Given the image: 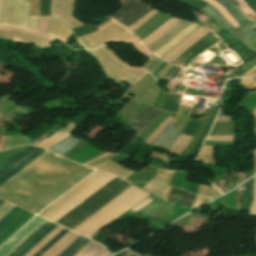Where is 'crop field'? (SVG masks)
<instances>
[{
	"label": "crop field",
	"mask_w": 256,
	"mask_h": 256,
	"mask_svg": "<svg viewBox=\"0 0 256 256\" xmlns=\"http://www.w3.org/2000/svg\"><path fill=\"white\" fill-rule=\"evenodd\" d=\"M48 151L3 186L0 197L38 213L94 169Z\"/></svg>",
	"instance_id": "crop-field-1"
},
{
	"label": "crop field",
	"mask_w": 256,
	"mask_h": 256,
	"mask_svg": "<svg viewBox=\"0 0 256 256\" xmlns=\"http://www.w3.org/2000/svg\"><path fill=\"white\" fill-rule=\"evenodd\" d=\"M129 186L128 181L116 176L56 223L73 230Z\"/></svg>",
	"instance_id": "crop-field-2"
},
{
	"label": "crop field",
	"mask_w": 256,
	"mask_h": 256,
	"mask_svg": "<svg viewBox=\"0 0 256 256\" xmlns=\"http://www.w3.org/2000/svg\"><path fill=\"white\" fill-rule=\"evenodd\" d=\"M147 195V193L132 185L118 197L104 206L101 210L91 216L88 220L74 229V231L87 237H91L100 228L131 208Z\"/></svg>",
	"instance_id": "crop-field-3"
},
{
	"label": "crop field",
	"mask_w": 256,
	"mask_h": 256,
	"mask_svg": "<svg viewBox=\"0 0 256 256\" xmlns=\"http://www.w3.org/2000/svg\"><path fill=\"white\" fill-rule=\"evenodd\" d=\"M96 172H94L93 174H95ZM92 175H90L89 177H91ZM113 177H115V175H112L104 171H99L90 179L86 178L85 180L87 179L88 180L86 182H84L85 180L82 181L81 183L84 182L82 185H80L81 183L78 184L77 186L80 185L78 188H76L77 186L74 187L73 189L76 188L74 191H72L73 189L70 190L69 192L72 191L70 194H68L69 192H67L65 194V195L68 194L66 197H64L65 195H63L61 197V198L64 197L62 200H60L61 198H59L57 200V201L60 200L58 203H56L57 201H55L53 203V204L56 203L54 206H52L53 204H51L49 206V207L52 206L50 209H48L49 207H47L45 209V210L48 209L46 212H44L45 210H43L41 213L43 212L44 213L41 216H44L55 222L64 214H66L68 211H70L72 208H74L76 205H78L80 202H82L85 198H87L89 195H91L93 192H95L97 189H99L101 186H103L105 183L111 180ZM41 213H39V215Z\"/></svg>",
	"instance_id": "crop-field-4"
},
{
	"label": "crop field",
	"mask_w": 256,
	"mask_h": 256,
	"mask_svg": "<svg viewBox=\"0 0 256 256\" xmlns=\"http://www.w3.org/2000/svg\"><path fill=\"white\" fill-rule=\"evenodd\" d=\"M47 150L26 146L0 166V186L43 155Z\"/></svg>",
	"instance_id": "crop-field-5"
},
{
	"label": "crop field",
	"mask_w": 256,
	"mask_h": 256,
	"mask_svg": "<svg viewBox=\"0 0 256 256\" xmlns=\"http://www.w3.org/2000/svg\"><path fill=\"white\" fill-rule=\"evenodd\" d=\"M208 9H206V8ZM204 8L200 9L203 13L207 14L208 16H210L212 19H214L215 21H217L220 25H222L224 28L228 29L229 31H231L234 35H236L241 41L245 42L249 39H251L252 41H254L256 43V32L254 31L256 29V21H252V22H247V24L249 26H251L252 28H250L246 23L243 24L242 26L239 27V29L236 31L221 15L220 13L214 9L212 6H210L209 4L206 5ZM215 13L217 16L212 15L211 13ZM206 15V16H207ZM236 37V38H237ZM237 38V39H238ZM238 39V40H239ZM251 40L243 43L245 45H247L248 47H250L253 51L256 52V44L255 46L253 45L254 42H252Z\"/></svg>",
	"instance_id": "crop-field-6"
},
{
	"label": "crop field",
	"mask_w": 256,
	"mask_h": 256,
	"mask_svg": "<svg viewBox=\"0 0 256 256\" xmlns=\"http://www.w3.org/2000/svg\"><path fill=\"white\" fill-rule=\"evenodd\" d=\"M0 37L18 42L35 43L39 47H50L52 38L27 29L0 26Z\"/></svg>",
	"instance_id": "crop-field-7"
},
{
	"label": "crop field",
	"mask_w": 256,
	"mask_h": 256,
	"mask_svg": "<svg viewBox=\"0 0 256 256\" xmlns=\"http://www.w3.org/2000/svg\"><path fill=\"white\" fill-rule=\"evenodd\" d=\"M150 7L138 0H131L112 17L129 27L150 11Z\"/></svg>",
	"instance_id": "crop-field-8"
},
{
	"label": "crop field",
	"mask_w": 256,
	"mask_h": 256,
	"mask_svg": "<svg viewBox=\"0 0 256 256\" xmlns=\"http://www.w3.org/2000/svg\"><path fill=\"white\" fill-rule=\"evenodd\" d=\"M46 220L36 216L24 228H22L14 237L0 248V256H7L35 230H37Z\"/></svg>",
	"instance_id": "crop-field-9"
},
{
	"label": "crop field",
	"mask_w": 256,
	"mask_h": 256,
	"mask_svg": "<svg viewBox=\"0 0 256 256\" xmlns=\"http://www.w3.org/2000/svg\"><path fill=\"white\" fill-rule=\"evenodd\" d=\"M161 113V110L149 106L143 109L129 125L136 137L138 138Z\"/></svg>",
	"instance_id": "crop-field-10"
},
{
	"label": "crop field",
	"mask_w": 256,
	"mask_h": 256,
	"mask_svg": "<svg viewBox=\"0 0 256 256\" xmlns=\"http://www.w3.org/2000/svg\"><path fill=\"white\" fill-rule=\"evenodd\" d=\"M208 32L209 31L202 27L199 28L197 31L184 39L176 48H174L172 51L162 57V59L172 63L179 55H181L186 49H188L191 45H193L197 40H199Z\"/></svg>",
	"instance_id": "crop-field-11"
},
{
	"label": "crop field",
	"mask_w": 256,
	"mask_h": 256,
	"mask_svg": "<svg viewBox=\"0 0 256 256\" xmlns=\"http://www.w3.org/2000/svg\"><path fill=\"white\" fill-rule=\"evenodd\" d=\"M209 4L213 5L221 14L222 16L235 28L239 26L236 20L229 14V12L218 2L215 0H205ZM243 12L245 15L251 13L253 16L256 15L250 7L246 4L244 0H232Z\"/></svg>",
	"instance_id": "crop-field-12"
},
{
	"label": "crop field",
	"mask_w": 256,
	"mask_h": 256,
	"mask_svg": "<svg viewBox=\"0 0 256 256\" xmlns=\"http://www.w3.org/2000/svg\"><path fill=\"white\" fill-rule=\"evenodd\" d=\"M180 134L181 133L170 124L151 145L168 150Z\"/></svg>",
	"instance_id": "crop-field-13"
},
{
	"label": "crop field",
	"mask_w": 256,
	"mask_h": 256,
	"mask_svg": "<svg viewBox=\"0 0 256 256\" xmlns=\"http://www.w3.org/2000/svg\"><path fill=\"white\" fill-rule=\"evenodd\" d=\"M189 24L190 23L184 22L181 20L174 27H172L170 30H168L165 34H163L161 37H159L153 44H151L150 46H148L146 48L153 53L154 51H156L158 48H160L169 39H171L174 35H176L178 32H180L182 29H184Z\"/></svg>",
	"instance_id": "crop-field-14"
},
{
	"label": "crop field",
	"mask_w": 256,
	"mask_h": 256,
	"mask_svg": "<svg viewBox=\"0 0 256 256\" xmlns=\"http://www.w3.org/2000/svg\"><path fill=\"white\" fill-rule=\"evenodd\" d=\"M178 21V19L170 18L164 24H162L157 30H155L152 34L147 36L142 40L143 45L146 47L149 44L153 43L159 36L165 33L168 29L174 26Z\"/></svg>",
	"instance_id": "crop-field-15"
},
{
	"label": "crop field",
	"mask_w": 256,
	"mask_h": 256,
	"mask_svg": "<svg viewBox=\"0 0 256 256\" xmlns=\"http://www.w3.org/2000/svg\"><path fill=\"white\" fill-rule=\"evenodd\" d=\"M76 233L69 232L66 234L62 239H60L55 245H53L47 252H45L42 256H51L53 255L58 249H60L66 242H68ZM80 235H76L73 237L67 244H65L60 250H58L53 256H57L60 252H62L68 245H70L76 238Z\"/></svg>",
	"instance_id": "crop-field-16"
},
{
	"label": "crop field",
	"mask_w": 256,
	"mask_h": 256,
	"mask_svg": "<svg viewBox=\"0 0 256 256\" xmlns=\"http://www.w3.org/2000/svg\"><path fill=\"white\" fill-rule=\"evenodd\" d=\"M108 255H110V252H108L105 249V247L92 241L88 246H86L76 256H108Z\"/></svg>",
	"instance_id": "crop-field-17"
},
{
	"label": "crop field",
	"mask_w": 256,
	"mask_h": 256,
	"mask_svg": "<svg viewBox=\"0 0 256 256\" xmlns=\"http://www.w3.org/2000/svg\"><path fill=\"white\" fill-rule=\"evenodd\" d=\"M221 3L241 25L248 21L247 17L231 0H216Z\"/></svg>",
	"instance_id": "crop-field-18"
},
{
	"label": "crop field",
	"mask_w": 256,
	"mask_h": 256,
	"mask_svg": "<svg viewBox=\"0 0 256 256\" xmlns=\"http://www.w3.org/2000/svg\"><path fill=\"white\" fill-rule=\"evenodd\" d=\"M77 141H78V139L69 136V137L65 138L64 140L51 146L48 149L63 156L66 152H68L74 146V144Z\"/></svg>",
	"instance_id": "crop-field-19"
},
{
	"label": "crop field",
	"mask_w": 256,
	"mask_h": 256,
	"mask_svg": "<svg viewBox=\"0 0 256 256\" xmlns=\"http://www.w3.org/2000/svg\"><path fill=\"white\" fill-rule=\"evenodd\" d=\"M87 238L80 236L77 240H75L69 247H67L61 254L58 256H75L80 250L77 248L84 243ZM91 240H87L84 244H82L79 249H83Z\"/></svg>",
	"instance_id": "crop-field-20"
},
{
	"label": "crop field",
	"mask_w": 256,
	"mask_h": 256,
	"mask_svg": "<svg viewBox=\"0 0 256 256\" xmlns=\"http://www.w3.org/2000/svg\"><path fill=\"white\" fill-rule=\"evenodd\" d=\"M192 139L191 136L183 135L181 134L177 140L174 142V144L171 146L169 151L176 153L181 156L183 150L186 148V146L189 144L190 140Z\"/></svg>",
	"instance_id": "crop-field-21"
},
{
	"label": "crop field",
	"mask_w": 256,
	"mask_h": 256,
	"mask_svg": "<svg viewBox=\"0 0 256 256\" xmlns=\"http://www.w3.org/2000/svg\"><path fill=\"white\" fill-rule=\"evenodd\" d=\"M62 229L63 227L58 225L24 256H33L41 247H43L51 238H53Z\"/></svg>",
	"instance_id": "crop-field-22"
},
{
	"label": "crop field",
	"mask_w": 256,
	"mask_h": 256,
	"mask_svg": "<svg viewBox=\"0 0 256 256\" xmlns=\"http://www.w3.org/2000/svg\"><path fill=\"white\" fill-rule=\"evenodd\" d=\"M254 186V178L246 182L245 194L243 197L242 210L248 211L252 200V191Z\"/></svg>",
	"instance_id": "crop-field-23"
},
{
	"label": "crop field",
	"mask_w": 256,
	"mask_h": 256,
	"mask_svg": "<svg viewBox=\"0 0 256 256\" xmlns=\"http://www.w3.org/2000/svg\"><path fill=\"white\" fill-rule=\"evenodd\" d=\"M219 105H220V101L218 100L212 118L210 119L209 123L207 124V126H206V128H205V130H204V132H203V134H202V136H201V138H200L199 141L196 143V145L194 146V148L192 149V151L189 153V155H195V154L198 152L201 143L203 142V140H204V138H205V136H206V134H207V132H208V130H209L211 124H212V122L214 121V119H215V117H216V115H217V113H218Z\"/></svg>",
	"instance_id": "crop-field-24"
},
{
	"label": "crop field",
	"mask_w": 256,
	"mask_h": 256,
	"mask_svg": "<svg viewBox=\"0 0 256 256\" xmlns=\"http://www.w3.org/2000/svg\"><path fill=\"white\" fill-rule=\"evenodd\" d=\"M50 224H51V222L47 221L44 225H42L36 232H34L28 239H26L20 246H18L8 256H15L18 252H20L28 243H30L37 235H39Z\"/></svg>",
	"instance_id": "crop-field-25"
},
{
	"label": "crop field",
	"mask_w": 256,
	"mask_h": 256,
	"mask_svg": "<svg viewBox=\"0 0 256 256\" xmlns=\"http://www.w3.org/2000/svg\"><path fill=\"white\" fill-rule=\"evenodd\" d=\"M57 224L52 223L46 228L37 238H35L27 247H25L17 256H23L26 254L34 245H36L43 237H45Z\"/></svg>",
	"instance_id": "crop-field-26"
},
{
	"label": "crop field",
	"mask_w": 256,
	"mask_h": 256,
	"mask_svg": "<svg viewBox=\"0 0 256 256\" xmlns=\"http://www.w3.org/2000/svg\"><path fill=\"white\" fill-rule=\"evenodd\" d=\"M173 120L174 119L169 116L159 125V127L154 131V133L149 138L147 137L148 139H146L144 142L151 144Z\"/></svg>",
	"instance_id": "crop-field-27"
},
{
	"label": "crop field",
	"mask_w": 256,
	"mask_h": 256,
	"mask_svg": "<svg viewBox=\"0 0 256 256\" xmlns=\"http://www.w3.org/2000/svg\"><path fill=\"white\" fill-rule=\"evenodd\" d=\"M23 144H31V142L27 139L26 136H9L5 149Z\"/></svg>",
	"instance_id": "crop-field-28"
},
{
	"label": "crop field",
	"mask_w": 256,
	"mask_h": 256,
	"mask_svg": "<svg viewBox=\"0 0 256 256\" xmlns=\"http://www.w3.org/2000/svg\"><path fill=\"white\" fill-rule=\"evenodd\" d=\"M123 43H129V44H133L136 49L141 52L143 55H145L147 58L149 56H151L152 54L149 53L144 47L143 45L140 43V41L135 38L133 35L128 37L127 39H125L124 41H122Z\"/></svg>",
	"instance_id": "crop-field-29"
},
{
	"label": "crop field",
	"mask_w": 256,
	"mask_h": 256,
	"mask_svg": "<svg viewBox=\"0 0 256 256\" xmlns=\"http://www.w3.org/2000/svg\"><path fill=\"white\" fill-rule=\"evenodd\" d=\"M69 230L64 229L60 233H58L51 241H49L42 249H40L34 256H40L47 249H49L55 242H57L64 234H66Z\"/></svg>",
	"instance_id": "crop-field-30"
},
{
	"label": "crop field",
	"mask_w": 256,
	"mask_h": 256,
	"mask_svg": "<svg viewBox=\"0 0 256 256\" xmlns=\"http://www.w3.org/2000/svg\"><path fill=\"white\" fill-rule=\"evenodd\" d=\"M61 133L56 132L55 134H53L51 137L47 138L46 140L42 141L41 143L38 144V146H41L43 144H45L46 142L52 140L53 138L57 137L58 135H60ZM67 135L62 134L60 136H58L57 138L53 139L52 141L48 142L47 144L43 145L42 147L47 148L53 144H55L56 142L60 141L61 139H63L64 137H66Z\"/></svg>",
	"instance_id": "crop-field-31"
},
{
	"label": "crop field",
	"mask_w": 256,
	"mask_h": 256,
	"mask_svg": "<svg viewBox=\"0 0 256 256\" xmlns=\"http://www.w3.org/2000/svg\"><path fill=\"white\" fill-rule=\"evenodd\" d=\"M158 11L151 10L149 13H147L143 18H141L138 22H136L134 25L129 27L132 31L136 30L138 27H140L142 24H144L147 20H149L153 15H155Z\"/></svg>",
	"instance_id": "crop-field-32"
},
{
	"label": "crop field",
	"mask_w": 256,
	"mask_h": 256,
	"mask_svg": "<svg viewBox=\"0 0 256 256\" xmlns=\"http://www.w3.org/2000/svg\"><path fill=\"white\" fill-rule=\"evenodd\" d=\"M21 208L15 206L10 212H8L1 220H0V228L8 222L16 213H18Z\"/></svg>",
	"instance_id": "crop-field-33"
},
{
	"label": "crop field",
	"mask_w": 256,
	"mask_h": 256,
	"mask_svg": "<svg viewBox=\"0 0 256 256\" xmlns=\"http://www.w3.org/2000/svg\"><path fill=\"white\" fill-rule=\"evenodd\" d=\"M86 144V142H83L81 140H79L76 145L68 152L64 155V157L70 159L73 155H75L84 145Z\"/></svg>",
	"instance_id": "crop-field-34"
},
{
	"label": "crop field",
	"mask_w": 256,
	"mask_h": 256,
	"mask_svg": "<svg viewBox=\"0 0 256 256\" xmlns=\"http://www.w3.org/2000/svg\"><path fill=\"white\" fill-rule=\"evenodd\" d=\"M194 197H195V194H192V193H189V192L186 191L184 196H183L181 206L191 207Z\"/></svg>",
	"instance_id": "crop-field-35"
},
{
	"label": "crop field",
	"mask_w": 256,
	"mask_h": 256,
	"mask_svg": "<svg viewBox=\"0 0 256 256\" xmlns=\"http://www.w3.org/2000/svg\"><path fill=\"white\" fill-rule=\"evenodd\" d=\"M50 16L41 17L38 31L47 34V28L49 24Z\"/></svg>",
	"instance_id": "crop-field-36"
},
{
	"label": "crop field",
	"mask_w": 256,
	"mask_h": 256,
	"mask_svg": "<svg viewBox=\"0 0 256 256\" xmlns=\"http://www.w3.org/2000/svg\"><path fill=\"white\" fill-rule=\"evenodd\" d=\"M4 203V201L0 200V205H2ZM14 207V205L9 204L7 202H5L2 206H0V219L12 208ZM10 212V211H9Z\"/></svg>",
	"instance_id": "crop-field-37"
},
{
	"label": "crop field",
	"mask_w": 256,
	"mask_h": 256,
	"mask_svg": "<svg viewBox=\"0 0 256 256\" xmlns=\"http://www.w3.org/2000/svg\"><path fill=\"white\" fill-rule=\"evenodd\" d=\"M236 135L230 136H208L207 140L212 141H234Z\"/></svg>",
	"instance_id": "crop-field-38"
},
{
	"label": "crop field",
	"mask_w": 256,
	"mask_h": 256,
	"mask_svg": "<svg viewBox=\"0 0 256 256\" xmlns=\"http://www.w3.org/2000/svg\"><path fill=\"white\" fill-rule=\"evenodd\" d=\"M244 188H245V184L241 185L240 187H238L237 190V209L241 210V199L244 193Z\"/></svg>",
	"instance_id": "crop-field-39"
},
{
	"label": "crop field",
	"mask_w": 256,
	"mask_h": 256,
	"mask_svg": "<svg viewBox=\"0 0 256 256\" xmlns=\"http://www.w3.org/2000/svg\"><path fill=\"white\" fill-rule=\"evenodd\" d=\"M39 19H40V17H30L28 28L37 30L38 24H39Z\"/></svg>",
	"instance_id": "crop-field-40"
},
{
	"label": "crop field",
	"mask_w": 256,
	"mask_h": 256,
	"mask_svg": "<svg viewBox=\"0 0 256 256\" xmlns=\"http://www.w3.org/2000/svg\"><path fill=\"white\" fill-rule=\"evenodd\" d=\"M177 190H178L177 188L173 187L172 192L168 193V197H167V201H166L167 203L173 205L174 200H175V196H176V193H177Z\"/></svg>",
	"instance_id": "crop-field-41"
},
{
	"label": "crop field",
	"mask_w": 256,
	"mask_h": 256,
	"mask_svg": "<svg viewBox=\"0 0 256 256\" xmlns=\"http://www.w3.org/2000/svg\"><path fill=\"white\" fill-rule=\"evenodd\" d=\"M75 129H76V127L70 122L63 129H61L59 132L70 134Z\"/></svg>",
	"instance_id": "crop-field-42"
},
{
	"label": "crop field",
	"mask_w": 256,
	"mask_h": 256,
	"mask_svg": "<svg viewBox=\"0 0 256 256\" xmlns=\"http://www.w3.org/2000/svg\"><path fill=\"white\" fill-rule=\"evenodd\" d=\"M229 187H230V173L228 172L225 174V187H224L223 193L229 190Z\"/></svg>",
	"instance_id": "crop-field-43"
},
{
	"label": "crop field",
	"mask_w": 256,
	"mask_h": 256,
	"mask_svg": "<svg viewBox=\"0 0 256 256\" xmlns=\"http://www.w3.org/2000/svg\"><path fill=\"white\" fill-rule=\"evenodd\" d=\"M150 201H152V199L147 197L145 200H143L139 205L134 207L132 210L136 211V210L142 208L143 206H145L146 204H148Z\"/></svg>",
	"instance_id": "crop-field-44"
},
{
	"label": "crop field",
	"mask_w": 256,
	"mask_h": 256,
	"mask_svg": "<svg viewBox=\"0 0 256 256\" xmlns=\"http://www.w3.org/2000/svg\"><path fill=\"white\" fill-rule=\"evenodd\" d=\"M127 250H125V251H123V252H121V253H119V254H117V255H114V256H121L124 252H126ZM122 256H141V255H139V254H136V253H134V252H132V251H130V250H128L126 253H124Z\"/></svg>",
	"instance_id": "crop-field-45"
},
{
	"label": "crop field",
	"mask_w": 256,
	"mask_h": 256,
	"mask_svg": "<svg viewBox=\"0 0 256 256\" xmlns=\"http://www.w3.org/2000/svg\"><path fill=\"white\" fill-rule=\"evenodd\" d=\"M183 192H184L183 190H180V189H179V191H178V193H177V197H176V200H175V204H174V205H177V206L180 205V201H181V199H182Z\"/></svg>",
	"instance_id": "crop-field-46"
},
{
	"label": "crop field",
	"mask_w": 256,
	"mask_h": 256,
	"mask_svg": "<svg viewBox=\"0 0 256 256\" xmlns=\"http://www.w3.org/2000/svg\"><path fill=\"white\" fill-rule=\"evenodd\" d=\"M4 9H5V0H2L1 11H0V24L2 23V19H3V15H4Z\"/></svg>",
	"instance_id": "crop-field-47"
},
{
	"label": "crop field",
	"mask_w": 256,
	"mask_h": 256,
	"mask_svg": "<svg viewBox=\"0 0 256 256\" xmlns=\"http://www.w3.org/2000/svg\"><path fill=\"white\" fill-rule=\"evenodd\" d=\"M232 120L231 117H217L216 121Z\"/></svg>",
	"instance_id": "crop-field-48"
},
{
	"label": "crop field",
	"mask_w": 256,
	"mask_h": 256,
	"mask_svg": "<svg viewBox=\"0 0 256 256\" xmlns=\"http://www.w3.org/2000/svg\"><path fill=\"white\" fill-rule=\"evenodd\" d=\"M255 69H256V66H255L253 69L247 71L243 76L246 77L250 72H252V71L255 70Z\"/></svg>",
	"instance_id": "crop-field-49"
},
{
	"label": "crop field",
	"mask_w": 256,
	"mask_h": 256,
	"mask_svg": "<svg viewBox=\"0 0 256 256\" xmlns=\"http://www.w3.org/2000/svg\"><path fill=\"white\" fill-rule=\"evenodd\" d=\"M253 4L256 3V0H250Z\"/></svg>",
	"instance_id": "crop-field-50"
}]
</instances>
